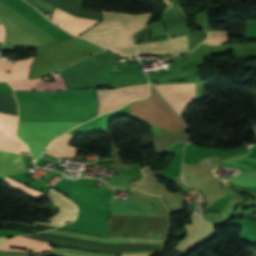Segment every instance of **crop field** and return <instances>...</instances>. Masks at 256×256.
<instances>
[{
    "label": "crop field",
    "instance_id": "8a807250",
    "mask_svg": "<svg viewBox=\"0 0 256 256\" xmlns=\"http://www.w3.org/2000/svg\"><path fill=\"white\" fill-rule=\"evenodd\" d=\"M18 137L26 142L34 161L50 141L94 117L95 98H17Z\"/></svg>",
    "mask_w": 256,
    "mask_h": 256
},
{
    "label": "crop field",
    "instance_id": "ac0d7876",
    "mask_svg": "<svg viewBox=\"0 0 256 256\" xmlns=\"http://www.w3.org/2000/svg\"><path fill=\"white\" fill-rule=\"evenodd\" d=\"M70 238L93 241L97 243H117V244H136V245H163L165 240L156 239H135V238H103L100 236H88L67 230L46 231ZM27 237L41 241H46L58 245L76 247L81 249L93 250L96 252L115 256L116 253L122 254V251H156L161 246H136V245H117V244H96L88 241L65 238L45 232L29 235ZM100 253L78 251L66 248H53L50 252L44 254L53 256H108ZM154 252H123L122 256H152Z\"/></svg>",
    "mask_w": 256,
    "mask_h": 256
},
{
    "label": "crop field",
    "instance_id": "34b2d1b8",
    "mask_svg": "<svg viewBox=\"0 0 256 256\" xmlns=\"http://www.w3.org/2000/svg\"><path fill=\"white\" fill-rule=\"evenodd\" d=\"M150 13L124 15L103 12V21L79 37L124 56H136L130 35L147 24Z\"/></svg>",
    "mask_w": 256,
    "mask_h": 256
},
{
    "label": "crop field",
    "instance_id": "412701ff",
    "mask_svg": "<svg viewBox=\"0 0 256 256\" xmlns=\"http://www.w3.org/2000/svg\"><path fill=\"white\" fill-rule=\"evenodd\" d=\"M70 45H72V48L68 49L67 46ZM62 46H65V48H62ZM100 51L103 50L78 38L37 48L36 59L31 67L30 79L48 74Z\"/></svg>",
    "mask_w": 256,
    "mask_h": 256
},
{
    "label": "crop field",
    "instance_id": "f4fd0767",
    "mask_svg": "<svg viewBox=\"0 0 256 256\" xmlns=\"http://www.w3.org/2000/svg\"><path fill=\"white\" fill-rule=\"evenodd\" d=\"M118 57L109 52L95 54L61 70V73L69 89L111 84L109 69L113 59Z\"/></svg>",
    "mask_w": 256,
    "mask_h": 256
},
{
    "label": "crop field",
    "instance_id": "dd49c442",
    "mask_svg": "<svg viewBox=\"0 0 256 256\" xmlns=\"http://www.w3.org/2000/svg\"><path fill=\"white\" fill-rule=\"evenodd\" d=\"M97 97L99 99L97 115H99L110 110L121 108L133 99L148 97V84L120 88L111 91L97 90Z\"/></svg>",
    "mask_w": 256,
    "mask_h": 256
},
{
    "label": "crop field",
    "instance_id": "e52e79f7",
    "mask_svg": "<svg viewBox=\"0 0 256 256\" xmlns=\"http://www.w3.org/2000/svg\"><path fill=\"white\" fill-rule=\"evenodd\" d=\"M175 111L182 116L190 103L196 101L194 83L154 85Z\"/></svg>",
    "mask_w": 256,
    "mask_h": 256
},
{
    "label": "crop field",
    "instance_id": "d8731c3e",
    "mask_svg": "<svg viewBox=\"0 0 256 256\" xmlns=\"http://www.w3.org/2000/svg\"><path fill=\"white\" fill-rule=\"evenodd\" d=\"M16 122L17 116L0 112V149L21 153L27 148L15 137Z\"/></svg>",
    "mask_w": 256,
    "mask_h": 256
},
{
    "label": "crop field",
    "instance_id": "5a996713",
    "mask_svg": "<svg viewBox=\"0 0 256 256\" xmlns=\"http://www.w3.org/2000/svg\"><path fill=\"white\" fill-rule=\"evenodd\" d=\"M111 214L154 216L153 206L141 200H122L113 198L110 205Z\"/></svg>",
    "mask_w": 256,
    "mask_h": 256
},
{
    "label": "crop field",
    "instance_id": "3316defc",
    "mask_svg": "<svg viewBox=\"0 0 256 256\" xmlns=\"http://www.w3.org/2000/svg\"><path fill=\"white\" fill-rule=\"evenodd\" d=\"M138 52L170 53L180 55L187 52L186 35L172 38L167 41L136 45Z\"/></svg>",
    "mask_w": 256,
    "mask_h": 256
},
{
    "label": "crop field",
    "instance_id": "28ad6ade",
    "mask_svg": "<svg viewBox=\"0 0 256 256\" xmlns=\"http://www.w3.org/2000/svg\"><path fill=\"white\" fill-rule=\"evenodd\" d=\"M51 21L59 24L58 26L64 28L75 36L97 22L96 20L73 17L57 8L55 9Z\"/></svg>",
    "mask_w": 256,
    "mask_h": 256
},
{
    "label": "crop field",
    "instance_id": "d1516ede",
    "mask_svg": "<svg viewBox=\"0 0 256 256\" xmlns=\"http://www.w3.org/2000/svg\"><path fill=\"white\" fill-rule=\"evenodd\" d=\"M163 21L170 37L190 33L185 22L183 11L173 5L163 13Z\"/></svg>",
    "mask_w": 256,
    "mask_h": 256
},
{
    "label": "crop field",
    "instance_id": "22f410ed",
    "mask_svg": "<svg viewBox=\"0 0 256 256\" xmlns=\"http://www.w3.org/2000/svg\"><path fill=\"white\" fill-rule=\"evenodd\" d=\"M47 197L57 208L60 209V212L48 221L67 222L74 220L76 215V206L73 203L69 202L65 197L53 190H50Z\"/></svg>",
    "mask_w": 256,
    "mask_h": 256
},
{
    "label": "crop field",
    "instance_id": "cbeb9de0",
    "mask_svg": "<svg viewBox=\"0 0 256 256\" xmlns=\"http://www.w3.org/2000/svg\"><path fill=\"white\" fill-rule=\"evenodd\" d=\"M9 84L17 90L59 91L67 89L62 77L57 76H55V82L52 83L44 82L39 78L31 81L9 82Z\"/></svg>",
    "mask_w": 256,
    "mask_h": 256
},
{
    "label": "crop field",
    "instance_id": "5142ce71",
    "mask_svg": "<svg viewBox=\"0 0 256 256\" xmlns=\"http://www.w3.org/2000/svg\"><path fill=\"white\" fill-rule=\"evenodd\" d=\"M26 171L23 155L0 151V178L8 174Z\"/></svg>",
    "mask_w": 256,
    "mask_h": 256
},
{
    "label": "crop field",
    "instance_id": "d9b57169",
    "mask_svg": "<svg viewBox=\"0 0 256 256\" xmlns=\"http://www.w3.org/2000/svg\"><path fill=\"white\" fill-rule=\"evenodd\" d=\"M9 247L26 248L28 250H35L40 252L52 249V247L49 246V243L32 240L23 236L7 239L6 247H0V250L25 252V250L11 249Z\"/></svg>",
    "mask_w": 256,
    "mask_h": 256
},
{
    "label": "crop field",
    "instance_id": "733c2abd",
    "mask_svg": "<svg viewBox=\"0 0 256 256\" xmlns=\"http://www.w3.org/2000/svg\"><path fill=\"white\" fill-rule=\"evenodd\" d=\"M73 136L64 134L54 141H52L49 147L46 149L45 153L53 155L57 158L59 157H74L77 149L68 146V144L73 140Z\"/></svg>",
    "mask_w": 256,
    "mask_h": 256
},
{
    "label": "crop field",
    "instance_id": "4a817a6b",
    "mask_svg": "<svg viewBox=\"0 0 256 256\" xmlns=\"http://www.w3.org/2000/svg\"><path fill=\"white\" fill-rule=\"evenodd\" d=\"M186 230L188 234L201 238L216 235L213 225L193 214L192 223L186 225Z\"/></svg>",
    "mask_w": 256,
    "mask_h": 256
},
{
    "label": "crop field",
    "instance_id": "bc2a9ffb",
    "mask_svg": "<svg viewBox=\"0 0 256 256\" xmlns=\"http://www.w3.org/2000/svg\"><path fill=\"white\" fill-rule=\"evenodd\" d=\"M33 59L34 58L23 60V61H16L13 73L0 72V81L28 79V70Z\"/></svg>",
    "mask_w": 256,
    "mask_h": 256
},
{
    "label": "crop field",
    "instance_id": "214f88e0",
    "mask_svg": "<svg viewBox=\"0 0 256 256\" xmlns=\"http://www.w3.org/2000/svg\"><path fill=\"white\" fill-rule=\"evenodd\" d=\"M210 239H212V238H207L205 240H210ZM205 240H200V239H197V238L187 235L184 240L180 241V243L176 246V248L187 254L193 248L207 242Z\"/></svg>",
    "mask_w": 256,
    "mask_h": 256
},
{
    "label": "crop field",
    "instance_id": "92a150f3",
    "mask_svg": "<svg viewBox=\"0 0 256 256\" xmlns=\"http://www.w3.org/2000/svg\"><path fill=\"white\" fill-rule=\"evenodd\" d=\"M5 183L11 185L10 188H12V189H14L16 191L27 193V194H30V195L35 196V197L42 198L43 196L46 195V194H43L41 192H36V191H34L32 189H29V188H27V187H25V186L15 182V181L11 180V179H9V178H6Z\"/></svg>",
    "mask_w": 256,
    "mask_h": 256
},
{
    "label": "crop field",
    "instance_id": "dafd665d",
    "mask_svg": "<svg viewBox=\"0 0 256 256\" xmlns=\"http://www.w3.org/2000/svg\"><path fill=\"white\" fill-rule=\"evenodd\" d=\"M209 38L204 43L209 45L225 44L228 39V35L225 32L209 31Z\"/></svg>",
    "mask_w": 256,
    "mask_h": 256
},
{
    "label": "crop field",
    "instance_id": "00972430",
    "mask_svg": "<svg viewBox=\"0 0 256 256\" xmlns=\"http://www.w3.org/2000/svg\"><path fill=\"white\" fill-rule=\"evenodd\" d=\"M13 66H14L13 63H9V62L0 60V70L1 71H10V72H12Z\"/></svg>",
    "mask_w": 256,
    "mask_h": 256
},
{
    "label": "crop field",
    "instance_id": "a9b5d70f",
    "mask_svg": "<svg viewBox=\"0 0 256 256\" xmlns=\"http://www.w3.org/2000/svg\"><path fill=\"white\" fill-rule=\"evenodd\" d=\"M34 225L49 226V227H59L61 224H56V223H36V222H34Z\"/></svg>",
    "mask_w": 256,
    "mask_h": 256
},
{
    "label": "crop field",
    "instance_id": "4177f3b9",
    "mask_svg": "<svg viewBox=\"0 0 256 256\" xmlns=\"http://www.w3.org/2000/svg\"><path fill=\"white\" fill-rule=\"evenodd\" d=\"M3 37H4V30L2 25H0V42H3Z\"/></svg>",
    "mask_w": 256,
    "mask_h": 256
},
{
    "label": "crop field",
    "instance_id": "730fd06b",
    "mask_svg": "<svg viewBox=\"0 0 256 256\" xmlns=\"http://www.w3.org/2000/svg\"><path fill=\"white\" fill-rule=\"evenodd\" d=\"M6 238L0 239V246H5Z\"/></svg>",
    "mask_w": 256,
    "mask_h": 256
},
{
    "label": "crop field",
    "instance_id": "eef30255",
    "mask_svg": "<svg viewBox=\"0 0 256 256\" xmlns=\"http://www.w3.org/2000/svg\"><path fill=\"white\" fill-rule=\"evenodd\" d=\"M165 3H167V0H164Z\"/></svg>",
    "mask_w": 256,
    "mask_h": 256
}]
</instances>
